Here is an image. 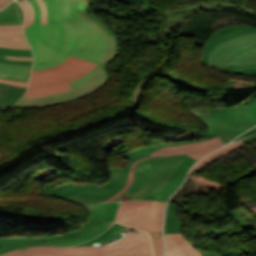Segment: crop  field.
<instances>
[{
	"mask_svg": "<svg viewBox=\"0 0 256 256\" xmlns=\"http://www.w3.org/2000/svg\"><path fill=\"white\" fill-rule=\"evenodd\" d=\"M57 23L63 21L67 40L61 52L38 41L30 43L35 60L32 70L54 67L70 55L98 64L83 77L69 83L72 90L44 96L20 99L12 107H38L68 102L89 94L108 81L105 65L118 53L113 31L88 12L90 0H57Z\"/></svg>",
	"mask_w": 256,
	"mask_h": 256,
	"instance_id": "crop-field-1",
	"label": "crop field"
},
{
	"mask_svg": "<svg viewBox=\"0 0 256 256\" xmlns=\"http://www.w3.org/2000/svg\"><path fill=\"white\" fill-rule=\"evenodd\" d=\"M184 155L142 160L134 168L132 185L115 200L142 199L160 189L180 165Z\"/></svg>",
	"mask_w": 256,
	"mask_h": 256,
	"instance_id": "crop-field-2",
	"label": "crop field"
},
{
	"mask_svg": "<svg viewBox=\"0 0 256 256\" xmlns=\"http://www.w3.org/2000/svg\"><path fill=\"white\" fill-rule=\"evenodd\" d=\"M219 129V136L228 141L256 125V103L231 108H209L206 114Z\"/></svg>",
	"mask_w": 256,
	"mask_h": 256,
	"instance_id": "crop-field-3",
	"label": "crop field"
},
{
	"mask_svg": "<svg viewBox=\"0 0 256 256\" xmlns=\"http://www.w3.org/2000/svg\"><path fill=\"white\" fill-rule=\"evenodd\" d=\"M29 2L34 8V24L24 29L29 43L35 40H39L61 51L66 40V30L63 22L56 24V1L44 0L47 5V24H41V11L37 1L31 0Z\"/></svg>",
	"mask_w": 256,
	"mask_h": 256,
	"instance_id": "crop-field-4",
	"label": "crop field"
},
{
	"mask_svg": "<svg viewBox=\"0 0 256 256\" xmlns=\"http://www.w3.org/2000/svg\"><path fill=\"white\" fill-rule=\"evenodd\" d=\"M224 63H256V33L239 35L217 45L208 64L215 68Z\"/></svg>",
	"mask_w": 256,
	"mask_h": 256,
	"instance_id": "crop-field-5",
	"label": "crop field"
},
{
	"mask_svg": "<svg viewBox=\"0 0 256 256\" xmlns=\"http://www.w3.org/2000/svg\"><path fill=\"white\" fill-rule=\"evenodd\" d=\"M95 66L96 64L79 58L76 63L61 72L31 77L30 87L23 97L44 96L68 90L70 89L68 82L81 77Z\"/></svg>",
	"mask_w": 256,
	"mask_h": 256,
	"instance_id": "crop-field-6",
	"label": "crop field"
},
{
	"mask_svg": "<svg viewBox=\"0 0 256 256\" xmlns=\"http://www.w3.org/2000/svg\"><path fill=\"white\" fill-rule=\"evenodd\" d=\"M152 200L123 201L116 221L144 231H149Z\"/></svg>",
	"mask_w": 256,
	"mask_h": 256,
	"instance_id": "crop-field-7",
	"label": "crop field"
},
{
	"mask_svg": "<svg viewBox=\"0 0 256 256\" xmlns=\"http://www.w3.org/2000/svg\"><path fill=\"white\" fill-rule=\"evenodd\" d=\"M111 176L110 180L105 185L94 187L80 191L74 195L73 202L83 205H95L108 195L116 190L124 182L125 168L109 167ZM97 200V201H95Z\"/></svg>",
	"mask_w": 256,
	"mask_h": 256,
	"instance_id": "crop-field-8",
	"label": "crop field"
},
{
	"mask_svg": "<svg viewBox=\"0 0 256 256\" xmlns=\"http://www.w3.org/2000/svg\"><path fill=\"white\" fill-rule=\"evenodd\" d=\"M222 145H224L223 142L220 140L219 137H216L210 140L196 142V143L163 147L151 153L150 157L162 156V155L186 154L197 160L200 157L216 150Z\"/></svg>",
	"mask_w": 256,
	"mask_h": 256,
	"instance_id": "crop-field-9",
	"label": "crop field"
},
{
	"mask_svg": "<svg viewBox=\"0 0 256 256\" xmlns=\"http://www.w3.org/2000/svg\"><path fill=\"white\" fill-rule=\"evenodd\" d=\"M231 6L242 7L244 9L250 10L253 13H256L255 9L251 8L246 4L240 6L238 4L225 3V2H200V3L178 8L177 11H170V10L167 11L168 22L166 24L167 28L165 30L167 34L171 33L170 27L172 24H176L180 19L185 20L193 16V14L199 11H206V10L225 8V7H231Z\"/></svg>",
	"mask_w": 256,
	"mask_h": 256,
	"instance_id": "crop-field-10",
	"label": "crop field"
},
{
	"mask_svg": "<svg viewBox=\"0 0 256 256\" xmlns=\"http://www.w3.org/2000/svg\"><path fill=\"white\" fill-rule=\"evenodd\" d=\"M249 32H256V28L251 27L246 24H237V25L227 26L221 30H218V31H215L214 33H212L209 40L207 39L208 41L205 44L203 52H202V57H201L202 65L211 69L207 65V58L218 43H220L228 38L237 36L239 34L249 33Z\"/></svg>",
	"mask_w": 256,
	"mask_h": 256,
	"instance_id": "crop-field-11",
	"label": "crop field"
},
{
	"mask_svg": "<svg viewBox=\"0 0 256 256\" xmlns=\"http://www.w3.org/2000/svg\"><path fill=\"white\" fill-rule=\"evenodd\" d=\"M28 249L34 256H100L99 246L84 247H49L40 246Z\"/></svg>",
	"mask_w": 256,
	"mask_h": 256,
	"instance_id": "crop-field-12",
	"label": "crop field"
},
{
	"mask_svg": "<svg viewBox=\"0 0 256 256\" xmlns=\"http://www.w3.org/2000/svg\"><path fill=\"white\" fill-rule=\"evenodd\" d=\"M194 159L185 156L179 168L176 172L171 176L170 180L157 192L151 194L150 196L144 199H154V200H162L166 201L168 196L180 185L183 180L187 170L194 163Z\"/></svg>",
	"mask_w": 256,
	"mask_h": 256,
	"instance_id": "crop-field-13",
	"label": "crop field"
},
{
	"mask_svg": "<svg viewBox=\"0 0 256 256\" xmlns=\"http://www.w3.org/2000/svg\"><path fill=\"white\" fill-rule=\"evenodd\" d=\"M166 256H201L184 239L182 233L165 234Z\"/></svg>",
	"mask_w": 256,
	"mask_h": 256,
	"instance_id": "crop-field-14",
	"label": "crop field"
},
{
	"mask_svg": "<svg viewBox=\"0 0 256 256\" xmlns=\"http://www.w3.org/2000/svg\"><path fill=\"white\" fill-rule=\"evenodd\" d=\"M0 46L19 49H31L24 38L22 24L0 26Z\"/></svg>",
	"mask_w": 256,
	"mask_h": 256,
	"instance_id": "crop-field-15",
	"label": "crop field"
},
{
	"mask_svg": "<svg viewBox=\"0 0 256 256\" xmlns=\"http://www.w3.org/2000/svg\"><path fill=\"white\" fill-rule=\"evenodd\" d=\"M113 224H114L113 222H110V221L106 220L97 229L89 232L88 234H86V235H84V236H82L80 238H77V239H74V240H71V241H67V242H63V243H59V244H53V245L69 246V245H73V244H78V243L89 241V240L93 239L94 237H96V236L100 235L101 233H103L106 229H108ZM37 245H47V243H46L45 240H42V241H35V242L16 244V245H12V246L1 248L0 249V253L7 252V251H10V250L16 249V248L29 247V246H37Z\"/></svg>",
	"mask_w": 256,
	"mask_h": 256,
	"instance_id": "crop-field-16",
	"label": "crop field"
},
{
	"mask_svg": "<svg viewBox=\"0 0 256 256\" xmlns=\"http://www.w3.org/2000/svg\"><path fill=\"white\" fill-rule=\"evenodd\" d=\"M120 202H112V203H104L99 204L92 207H85V209L90 214V220L87 221L80 228L82 231L90 228L93 224H95L99 219L104 218L110 221H114L116 210L118 208Z\"/></svg>",
	"mask_w": 256,
	"mask_h": 256,
	"instance_id": "crop-field-17",
	"label": "crop field"
},
{
	"mask_svg": "<svg viewBox=\"0 0 256 256\" xmlns=\"http://www.w3.org/2000/svg\"><path fill=\"white\" fill-rule=\"evenodd\" d=\"M105 220L101 219L99 220L95 225H93L90 229L82 232L81 229H77L73 232L67 233V234H62L54 237H48V238H10V239H0V242L2 243L3 246H8L16 243H21V242H27V241H35V240H42L46 239L48 244H53V243H58L70 239H74L77 237H80L89 231L93 230L94 228L98 227L101 223H103Z\"/></svg>",
	"mask_w": 256,
	"mask_h": 256,
	"instance_id": "crop-field-18",
	"label": "crop field"
},
{
	"mask_svg": "<svg viewBox=\"0 0 256 256\" xmlns=\"http://www.w3.org/2000/svg\"><path fill=\"white\" fill-rule=\"evenodd\" d=\"M101 256H153L149 234L142 232L139 239L130 247Z\"/></svg>",
	"mask_w": 256,
	"mask_h": 256,
	"instance_id": "crop-field-19",
	"label": "crop field"
},
{
	"mask_svg": "<svg viewBox=\"0 0 256 256\" xmlns=\"http://www.w3.org/2000/svg\"><path fill=\"white\" fill-rule=\"evenodd\" d=\"M31 65L0 62V78L28 82Z\"/></svg>",
	"mask_w": 256,
	"mask_h": 256,
	"instance_id": "crop-field-20",
	"label": "crop field"
},
{
	"mask_svg": "<svg viewBox=\"0 0 256 256\" xmlns=\"http://www.w3.org/2000/svg\"><path fill=\"white\" fill-rule=\"evenodd\" d=\"M94 186H97V185L96 184H73L72 182H68L64 185H61V186L56 185L45 191H41L40 195L50 196V197L60 195L59 197L72 201V197L76 192L83 190L85 188L94 187Z\"/></svg>",
	"mask_w": 256,
	"mask_h": 256,
	"instance_id": "crop-field-21",
	"label": "crop field"
},
{
	"mask_svg": "<svg viewBox=\"0 0 256 256\" xmlns=\"http://www.w3.org/2000/svg\"><path fill=\"white\" fill-rule=\"evenodd\" d=\"M243 145H245V144L242 142V140H240V141H237V142H235V143H233V144H231V145H229V146H227V147H225V148H223V149H221V150H219V151H217V152H215V153L205 157L204 159H202L200 162H198L192 168L189 176L194 174L195 172L203 169L204 167L209 165L211 162L217 160L218 158L224 156L225 154H227V153H229V152H231V151H233V150H235V149H237V148H239V147H241Z\"/></svg>",
	"mask_w": 256,
	"mask_h": 256,
	"instance_id": "crop-field-22",
	"label": "crop field"
},
{
	"mask_svg": "<svg viewBox=\"0 0 256 256\" xmlns=\"http://www.w3.org/2000/svg\"><path fill=\"white\" fill-rule=\"evenodd\" d=\"M140 233H141L140 230L138 231L137 234L128 231L118 241H116L112 244H109V245L100 246L101 254L119 251V250L131 245L132 243H134L138 239Z\"/></svg>",
	"mask_w": 256,
	"mask_h": 256,
	"instance_id": "crop-field-23",
	"label": "crop field"
},
{
	"mask_svg": "<svg viewBox=\"0 0 256 256\" xmlns=\"http://www.w3.org/2000/svg\"><path fill=\"white\" fill-rule=\"evenodd\" d=\"M164 204L162 201H153L152 217L149 232L161 231L163 216H164Z\"/></svg>",
	"mask_w": 256,
	"mask_h": 256,
	"instance_id": "crop-field-24",
	"label": "crop field"
},
{
	"mask_svg": "<svg viewBox=\"0 0 256 256\" xmlns=\"http://www.w3.org/2000/svg\"><path fill=\"white\" fill-rule=\"evenodd\" d=\"M234 217L244 230L252 228L255 224L254 218L244 209L239 207L233 210L227 211ZM228 213V214H229Z\"/></svg>",
	"mask_w": 256,
	"mask_h": 256,
	"instance_id": "crop-field-25",
	"label": "crop field"
},
{
	"mask_svg": "<svg viewBox=\"0 0 256 256\" xmlns=\"http://www.w3.org/2000/svg\"><path fill=\"white\" fill-rule=\"evenodd\" d=\"M208 139H210V138H208ZM202 140H206V139H202ZM199 141H201V140H199ZM190 142H196V141H179V142H173V143H164V144H157V145L142 147V148L135 149L126 155H123V157H126L127 159H129L131 161L132 159H135L139 156L149 154L150 152H152L162 146L178 145V144H184V143H190Z\"/></svg>",
	"mask_w": 256,
	"mask_h": 256,
	"instance_id": "crop-field-26",
	"label": "crop field"
},
{
	"mask_svg": "<svg viewBox=\"0 0 256 256\" xmlns=\"http://www.w3.org/2000/svg\"><path fill=\"white\" fill-rule=\"evenodd\" d=\"M172 232H181V226L172 210V203L169 202L166 211L164 233Z\"/></svg>",
	"mask_w": 256,
	"mask_h": 256,
	"instance_id": "crop-field-27",
	"label": "crop field"
},
{
	"mask_svg": "<svg viewBox=\"0 0 256 256\" xmlns=\"http://www.w3.org/2000/svg\"><path fill=\"white\" fill-rule=\"evenodd\" d=\"M208 109V108H207ZM207 109H188L190 113L194 114L196 117H198L208 128V132L203 134L208 137H212L216 134H218V130L214 123L204 114L207 112Z\"/></svg>",
	"mask_w": 256,
	"mask_h": 256,
	"instance_id": "crop-field-28",
	"label": "crop field"
},
{
	"mask_svg": "<svg viewBox=\"0 0 256 256\" xmlns=\"http://www.w3.org/2000/svg\"><path fill=\"white\" fill-rule=\"evenodd\" d=\"M159 76H162L168 80H170L171 82H173L175 85L181 87V88H184L186 90H190V91H193V92H197V93H201V92H206V91H209V90H201V89H197L189 84H187L183 78L179 77V75L177 73H175V71H168L167 73L165 74H157ZM161 77V78H162Z\"/></svg>",
	"mask_w": 256,
	"mask_h": 256,
	"instance_id": "crop-field-29",
	"label": "crop field"
},
{
	"mask_svg": "<svg viewBox=\"0 0 256 256\" xmlns=\"http://www.w3.org/2000/svg\"><path fill=\"white\" fill-rule=\"evenodd\" d=\"M5 55L9 56H33L31 50H19V49H9L0 47V61L9 63H32V61H17L4 59Z\"/></svg>",
	"mask_w": 256,
	"mask_h": 256,
	"instance_id": "crop-field-30",
	"label": "crop field"
},
{
	"mask_svg": "<svg viewBox=\"0 0 256 256\" xmlns=\"http://www.w3.org/2000/svg\"><path fill=\"white\" fill-rule=\"evenodd\" d=\"M26 89L0 84V96L19 99Z\"/></svg>",
	"mask_w": 256,
	"mask_h": 256,
	"instance_id": "crop-field-31",
	"label": "crop field"
},
{
	"mask_svg": "<svg viewBox=\"0 0 256 256\" xmlns=\"http://www.w3.org/2000/svg\"><path fill=\"white\" fill-rule=\"evenodd\" d=\"M78 58L76 57H69L65 62L61 63L57 67L48 69V70H42V71H32V76H38V75H46V74H52L55 72H58L70 65H72L75 61H77Z\"/></svg>",
	"mask_w": 256,
	"mask_h": 256,
	"instance_id": "crop-field-32",
	"label": "crop field"
},
{
	"mask_svg": "<svg viewBox=\"0 0 256 256\" xmlns=\"http://www.w3.org/2000/svg\"><path fill=\"white\" fill-rule=\"evenodd\" d=\"M17 1L24 9V13H25L24 27H26L33 23V8L27 0H17Z\"/></svg>",
	"mask_w": 256,
	"mask_h": 256,
	"instance_id": "crop-field-33",
	"label": "crop field"
},
{
	"mask_svg": "<svg viewBox=\"0 0 256 256\" xmlns=\"http://www.w3.org/2000/svg\"><path fill=\"white\" fill-rule=\"evenodd\" d=\"M10 5H11L12 9L14 10L15 20L0 21V25H10V24L22 23L23 13H22L20 6L16 2V0L14 2H12Z\"/></svg>",
	"mask_w": 256,
	"mask_h": 256,
	"instance_id": "crop-field-34",
	"label": "crop field"
},
{
	"mask_svg": "<svg viewBox=\"0 0 256 256\" xmlns=\"http://www.w3.org/2000/svg\"><path fill=\"white\" fill-rule=\"evenodd\" d=\"M153 242L155 256H163V243L161 232L149 233Z\"/></svg>",
	"mask_w": 256,
	"mask_h": 256,
	"instance_id": "crop-field-35",
	"label": "crop field"
},
{
	"mask_svg": "<svg viewBox=\"0 0 256 256\" xmlns=\"http://www.w3.org/2000/svg\"><path fill=\"white\" fill-rule=\"evenodd\" d=\"M145 82L144 80H141L140 83L134 88L133 93H132V97L131 99L134 102V107L133 109L136 110L137 106L139 104V97H140V93L143 89V87L145 86Z\"/></svg>",
	"mask_w": 256,
	"mask_h": 256,
	"instance_id": "crop-field-36",
	"label": "crop field"
},
{
	"mask_svg": "<svg viewBox=\"0 0 256 256\" xmlns=\"http://www.w3.org/2000/svg\"><path fill=\"white\" fill-rule=\"evenodd\" d=\"M128 229H129V227L124 226L120 230H118L115 234H113L111 237L106 239L105 241L100 242V243L95 244V245H104V244L111 243V242L119 239L120 237H122L128 231Z\"/></svg>",
	"mask_w": 256,
	"mask_h": 256,
	"instance_id": "crop-field-37",
	"label": "crop field"
},
{
	"mask_svg": "<svg viewBox=\"0 0 256 256\" xmlns=\"http://www.w3.org/2000/svg\"><path fill=\"white\" fill-rule=\"evenodd\" d=\"M119 1L123 2V4L138 5V6H142V2H145L147 6L142 10L145 11L146 13L154 11V9L146 0H119Z\"/></svg>",
	"mask_w": 256,
	"mask_h": 256,
	"instance_id": "crop-field-38",
	"label": "crop field"
},
{
	"mask_svg": "<svg viewBox=\"0 0 256 256\" xmlns=\"http://www.w3.org/2000/svg\"><path fill=\"white\" fill-rule=\"evenodd\" d=\"M147 158H149V157H147ZM143 159H146V158H143ZM140 160H142V159H139L138 161H140ZM138 161H137V162H138ZM137 162L133 163V165H132L131 168H130V171H129V178H128V181H127L126 186H125L119 193H117V194L111 196L109 199H107V200L104 201V202L112 201L113 199H115L116 197H118L120 194H122V193L130 186V184H131V182H132V180H133V167H134V165H135Z\"/></svg>",
	"mask_w": 256,
	"mask_h": 256,
	"instance_id": "crop-field-39",
	"label": "crop field"
},
{
	"mask_svg": "<svg viewBox=\"0 0 256 256\" xmlns=\"http://www.w3.org/2000/svg\"><path fill=\"white\" fill-rule=\"evenodd\" d=\"M8 19H14V13L9 5L6 8H4L2 11H0V20H8Z\"/></svg>",
	"mask_w": 256,
	"mask_h": 256,
	"instance_id": "crop-field-40",
	"label": "crop field"
},
{
	"mask_svg": "<svg viewBox=\"0 0 256 256\" xmlns=\"http://www.w3.org/2000/svg\"><path fill=\"white\" fill-rule=\"evenodd\" d=\"M147 156H150V155H147ZM147 156H143V157H147ZM143 157H139V158H143ZM139 158H137V159L131 161L130 163H128V165H127V167H126L125 182H124V184H123L120 188H118L116 191H114L112 194H110V195H108L107 197H105L104 199H102L99 203H101L102 201L106 200V199L109 198L111 195L115 194L116 192L120 191V190L125 186L126 181H127V178H128V170H129L130 166L132 165V163H133L134 161L138 160Z\"/></svg>",
	"mask_w": 256,
	"mask_h": 256,
	"instance_id": "crop-field-41",
	"label": "crop field"
},
{
	"mask_svg": "<svg viewBox=\"0 0 256 256\" xmlns=\"http://www.w3.org/2000/svg\"><path fill=\"white\" fill-rule=\"evenodd\" d=\"M16 101L17 100H14V99H7V98L0 97V112L7 109L10 105H12Z\"/></svg>",
	"mask_w": 256,
	"mask_h": 256,
	"instance_id": "crop-field-42",
	"label": "crop field"
},
{
	"mask_svg": "<svg viewBox=\"0 0 256 256\" xmlns=\"http://www.w3.org/2000/svg\"><path fill=\"white\" fill-rule=\"evenodd\" d=\"M26 251L27 250L17 249V250H13L8 253L2 254L0 256H33V255L26 254Z\"/></svg>",
	"mask_w": 256,
	"mask_h": 256,
	"instance_id": "crop-field-43",
	"label": "crop field"
},
{
	"mask_svg": "<svg viewBox=\"0 0 256 256\" xmlns=\"http://www.w3.org/2000/svg\"><path fill=\"white\" fill-rule=\"evenodd\" d=\"M0 83H5V84H9V85L17 86V87H23V88H26L27 84H28L26 82L4 80V79H0Z\"/></svg>",
	"mask_w": 256,
	"mask_h": 256,
	"instance_id": "crop-field-44",
	"label": "crop field"
},
{
	"mask_svg": "<svg viewBox=\"0 0 256 256\" xmlns=\"http://www.w3.org/2000/svg\"><path fill=\"white\" fill-rule=\"evenodd\" d=\"M219 70H223V71H227V72H236V73H242V74H246V75H256V71H241V70H235V69H231V68H226V67H218Z\"/></svg>",
	"mask_w": 256,
	"mask_h": 256,
	"instance_id": "crop-field-45",
	"label": "crop field"
},
{
	"mask_svg": "<svg viewBox=\"0 0 256 256\" xmlns=\"http://www.w3.org/2000/svg\"><path fill=\"white\" fill-rule=\"evenodd\" d=\"M42 10V23H47L46 5L43 0H37Z\"/></svg>",
	"mask_w": 256,
	"mask_h": 256,
	"instance_id": "crop-field-46",
	"label": "crop field"
},
{
	"mask_svg": "<svg viewBox=\"0 0 256 256\" xmlns=\"http://www.w3.org/2000/svg\"><path fill=\"white\" fill-rule=\"evenodd\" d=\"M235 69H241V70H256V64L254 65H248V66H236V65H223Z\"/></svg>",
	"mask_w": 256,
	"mask_h": 256,
	"instance_id": "crop-field-47",
	"label": "crop field"
},
{
	"mask_svg": "<svg viewBox=\"0 0 256 256\" xmlns=\"http://www.w3.org/2000/svg\"><path fill=\"white\" fill-rule=\"evenodd\" d=\"M123 225L119 224L116 228H114L111 232H109L107 235H105L102 239L96 241V242H93V243H90L88 245H92V244H95L97 242H100L106 238H108L109 236H111L113 233H115L118 229H120Z\"/></svg>",
	"mask_w": 256,
	"mask_h": 256,
	"instance_id": "crop-field-48",
	"label": "crop field"
},
{
	"mask_svg": "<svg viewBox=\"0 0 256 256\" xmlns=\"http://www.w3.org/2000/svg\"><path fill=\"white\" fill-rule=\"evenodd\" d=\"M253 102H256V92L252 96H250L248 99H245L243 102L237 104L236 106L242 105V104H249Z\"/></svg>",
	"mask_w": 256,
	"mask_h": 256,
	"instance_id": "crop-field-49",
	"label": "crop field"
},
{
	"mask_svg": "<svg viewBox=\"0 0 256 256\" xmlns=\"http://www.w3.org/2000/svg\"><path fill=\"white\" fill-rule=\"evenodd\" d=\"M199 252L203 255V256H221L215 252H209V251H204V250H199Z\"/></svg>",
	"mask_w": 256,
	"mask_h": 256,
	"instance_id": "crop-field-50",
	"label": "crop field"
},
{
	"mask_svg": "<svg viewBox=\"0 0 256 256\" xmlns=\"http://www.w3.org/2000/svg\"><path fill=\"white\" fill-rule=\"evenodd\" d=\"M118 225V223H116L114 226H112V228L111 229H109V230H107L106 232H104L102 235H100L99 237H97V238H95V239H93V240H91V241H89L88 243H90V242H93V241H96V240H98V239H100V238H102L106 233H108L109 231H111L114 227H116ZM107 235V234H106Z\"/></svg>",
	"mask_w": 256,
	"mask_h": 256,
	"instance_id": "crop-field-51",
	"label": "crop field"
},
{
	"mask_svg": "<svg viewBox=\"0 0 256 256\" xmlns=\"http://www.w3.org/2000/svg\"><path fill=\"white\" fill-rule=\"evenodd\" d=\"M254 140H256V135H253V136H251V137H248V138L243 139V141H244V143H245L246 145H247L248 143L254 141Z\"/></svg>",
	"mask_w": 256,
	"mask_h": 256,
	"instance_id": "crop-field-52",
	"label": "crop field"
},
{
	"mask_svg": "<svg viewBox=\"0 0 256 256\" xmlns=\"http://www.w3.org/2000/svg\"><path fill=\"white\" fill-rule=\"evenodd\" d=\"M5 58L17 59V60H33V57H8V56H6Z\"/></svg>",
	"mask_w": 256,
	"mask_h": 256,
	"instance_id": "crop-field-53",
	"label": "crop field"
},
{
	"mask_svg": "<svg viewBox=\"0 0 256 256\" xmlns=\"http://www.w3.org/2000/svg\"><path fill=\"white\" fill-rule=\"evenodd\" d=\"M12 0H0V9L9 4Z\"/></svg>",
	"mask_w": 256,
	"mask_h": 256,
	"instance_id": "crop-field-54",
	"label": "crop field"
},
{
	"mask_svg": "<svg viewBox=\"0 0 256 256\" xmlns=\"http://www.w3.org/2000/svg\"><path fill=\"white\" fill-rule=\"evenodd\" d=\"M254 133H256V128H254V129H252V130H250L249 132H247L246 134H244L243 136H241L240 138H243V137H246V136H249V135H251V134H254ZM240 138H238V139H240ZM237 139V138H236ZM237 139V140H238ZM236 141V140H235Z\"/></svg>",
	"mask_w": 256,
	"mask_h": 256,
	"instance_id": "crop-field-55",
	"label": "crop field"
},
{
	"mask_svg": "<svg viewBox=\"0 0 256 256\" xmlns=\"http://www.w3.org/2000/svg\"><path fill=\"white\" fill-rule=\"evenodd\" d=\"M246 12H248V13H250V14H253V13H251V12H249V11H246ZM255 15V14H254Z\"/></svg>",
	"mask_w": 256,
	"mask_h": 256,
	"instance_id": "crop-field-56",
	"label": "crop field"
},
{
	"mask_svg": "<svg viewBox=\"0 0 256 256\" xmlns=\"http://www.w3.org/2000/svg\"><path fill=\"white\" fill-rule=\"evenodd\" d=\"M0 247H2V245L0 244Z\"/></svg>",
	"mask_w": 256,
	"mask_h": 256,
	"instance_id": "crop-field-57",
	"label": "crop field"
}]
</instances>
